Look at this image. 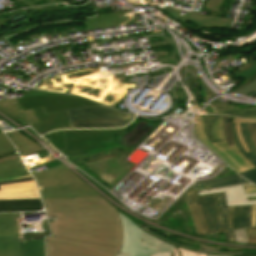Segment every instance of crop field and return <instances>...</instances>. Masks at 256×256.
I'll use <instances>...</instances> for the list:
<instances>
[{
  "mask_svg": "<svg viewBox=\"0 0 256 256\" xmlns=\"http://www.w3.org/2000/svg\"><path fill=\"white\" fill-rule=\"evenodd\" d=\"M42 201L47 215L53 216L48 219L53 237H46L47 256H116L120 253L121 222L116 208L102 196Z\"/></svg>",
  "mask_w": 256,
  "mask_h": 256,
  "instance_id": "crop-field-1",
  "label": "crop field"
},
{
  "mask_svg": "<svg viewBox=\"0 0 256 256\" xmlns=\"http://www.w3.org/2000/svg\"><path fill=\"white\" fill-rule=\"evenodd\" d=\"M128 125L121 129L99 130H60L49 133V142L69 159H77L88 155L118 149L112 137L127 130Z\"/></svg>",
  "mask_w": 256,
  "mask_h": 256,
  "instance_id": "crop-field-2",
  "label": "crop field"
},
{
  "mask_svg": "<svg viewBox=\"0 0 256 256\" xmlns=\"http://www.w3.org/2000/svg\"><path fill=\"white\" fill-rule=\"evenodd\" d=\"M41 225L44 233L22 235L18 213H0V256H45L44 236L50 232L46 219ZM34 237L41 239H26Z\"/></svg>",
  "mask_w": 256,
  "mask_h": 256,
  "instance_id": "crop-field-3",
  "label": "crop field"
},
{
  "mask_svg": "<svg viewBox=\"0 0 256 256\" xmlns=\"http://www.w3.org/2000/svg\"><path fill=\"white\" fill-rule=\"evenodd\" d=\"M46 168L45 171L31 173L36 181L39 179L37 183L39 190L41 189L42 198H75L99 195L59 160L46 164Z\"/></svg>",
  "mask_w": 256,
  "mask_h": 256,
  "instance_id": "crop-field-4",
  "label": "crop field"
},
{
  "mask_svg": "<svg viewBox=\"0 0 256 256\" xmlns=\"http://www.w3.org/2000/svg\"><path fill=\"white\" fill-rule=\"evenodd\" d=\"M70 128L122 127L131 122L133 115L114 110L105 105L65 111Z\"/></svg>",
  "mask_w": 256,
  "mask_h": 256,
  "instance_id": "crop-field-5",
  "label": "crop field"
},
{
  "mask_svg": "<svg viewBox=\"0 0 256 256\" xmlns=\"http://www.w3.org/2000/svg\"><path fill=\"white\" fill-rule=\"evenodd\" d=\"M23 109L43 107L45 113H52L61 110L79 108L84 106L101 105L81 97L64 96H34L19 98Z\"/></svg>",
  "mask_w": 256,
  "mask_h": 256,
  "instance_id": "crop-field-6",
  "label": "crop field"
},
{
  "mask_svg": "<svg viewBox=\"0 0 256 256\" xmlns=\"http://www.w3.org/2000/svg\"><path fill=\"white\" fill-rule=\"evenodd\" d=\"M202 117L198 118L196 122L195 134L208 148L220 156L237 173L254 168L235 146L228 147L226 141L210 144L204 136Z\"/></svg>",
  "mask_w": 256,
  "mask_h": 256,
  "instance_id": "crop-field-7",
  "label": "crop field"
},
{
  "mask_svg": "<svg viewBox=\"0 0 256 256\" xmlns=\"http://www.w3.org/2000/svg\"><path fill=\"white\" fill-rule=\"evenodd\" d=\"M119 213L123 226V244L120 255L117 256H149L155 254L154 249L145 250L140 235V229Z\"/></svg>",
  "mask_w": 256,
  "mask_h": 256,
  "instance_id": "crop-field-8",
  "label": "crop field"
},
{
  "mask_svg": "<svg viewBox=\"0 0 256 256\" xmlns=\"http://www.w3.org/2000/svg\"><path fill=\"white\" fill-rule=\"evenodd\" d=\"M198 197L209 232L226 231L217 193Z\"/></svg>",
  "mask_w": 256,
  "mask_h": 256,
  "instance_id": "crop-field-9",
  "label": "crop field"
},
{
  "mask_svg": "<svg viewBox=\"0 0 256 256\" xmlns=\"http://www.w3.org/2000/svg\"><path fill=\"white\" fill-rule=\"evenodd\" d=\"M179 21L188 27L198 31L200 28L210 30L211 28H229L231 20L228 18L208 17L201 14L190 13L188 17L181 16Z\"/></svg>",
  "mask_w": 256,
  "mask_h": 256,
  "instance_id": "crop-field-10",
  "label": "crop field"
},
{
  "mask_svg": "<svg viewBox=\"0 0 256 256\" xmlns=\"http://www.w3.org/2000/svg\"><path fill=\"white\" fill-rule=\"evenodd\" d=\"M34 110L40 124L31 127L35 129L36 132H38L40 135H43L46 132L54 129L69 128L64 111L45 115L42 108Z\"/></svg>",
  "mask_w": 256,
  "mask_h": 256,
  "instance_id": "crop-field-11",
  "label": "crop field"
},
{
  "mask_svg": "<svg viewBox=\"0 0 256 256\" xmlns=\"http://www.w3.org/2000/svg\"><path fill=\"white\" fill-rule=\"evenodd\" d=\"M35 181L0 186V199L40 198Z\"/></svg>",
  "mask_w": 256,
  "mask_h": 256,
  "instance_id": "crop-field-12",
  "label": "crop field"
},
{
  "mask_svg": "<svg viewBox=\"0 0 256 256\" xmlns=\"http://www.w3.org/2000/svg\"><path fill=\"white\" fill-rule=\"evenodd\" d=\"M0 110L25 126L38 123L33 109L23 110L17 99L0 102Z\"/></svg>",
  "mask_w": 256,
  "mask_h": 256,
  "instance_id": "crop-field-13",
  "label": "crop field"
},
{
  "mask_svg": "<svg viewBox=\"0 0 256 256\" xmlns=\"http://www.w3.org/2000/svg\"><path fill=\"white\" fill-rule=\"evenodd\" d=\"M133 10H126L122 12H109L98 14V17L84 21L85 29H95L113 25L127 24L135 22L134 19L121 18V14L132 12Z\"/></svg>",
  "mask_w": 256,
  "mask_h": 256,
  "instance_id": "crop-field-14",
  "label": "crop field"
},
{
  "mask_svg": "<svg viewBox=\"0 0 256 256\" xmlns=\"http://www.w3.org/2000/svg\"><path fill=\"white\" fill-rule=\"evenodd\" d=\"M241 132H242L244 139L251 151L249 153H247L244 150V148L241 146V144L238 140V137H237L235 123H232V133H233V137H234L237 147L242 152L244 157H246L256 167V161H253V159H256V148L248 136L246 123H241ZM239 174H241L242 176L246 177L247 179H249L250 181H252L256 184V168L239 173Z\"/></svg>",
  "mask_w": 256,
  "mask_h": 256,
  "instance_id": "crop-field-15",
  "label": "crop field"
},
{
  "mask_svg": "<svg viewBox=\"0 0 256 256\" xmlns=\"http://www.w3.org/2000/svg\"><path fill=\"white\" fill-rule=\"evenodd\" d=\"M224 116L206 115L203 118V126L206 139L212 143L216 141L226 140L223 130Z\"/></svg>",
  "mask_w": 256,
  "mask_h": 256,
  "instance_id": "crop-field-16",
  "label": "crop field"
},
{
  "mask_svg": "<svg viewBox=\"0 0 256 256\" xmlns=\"http://www.w3.org/2000/svg\"><path fill=\"white\" fill-rule=\"evenodd\" d=\"M214 192H225L228 206L256 204V201L247 202L246 200V197L256 196V193L245 194L243 186H234V187L214 189L209 191H198V195L214 193Z\"/></svg>",
  "mask_w": 256,
  "mask_h": 256,
  "instance_id": "crop-field-17",
  "label": "crop field"
},
{
  "mask_svg": "<svg viewBox=\"0 0 256 256\" xmlns=\"http://www.w3.org/2000/svg\"><path fill=\"white\" fill-rule=\"evenodd\" d=\"M41 210L44 208L40 199L0 200V212Z\"/></svg>",
  "mask_w": 256,
  "mask_h": 256,
  "instance_id": "crop-field-18",
  "label": "crop field"
},
{
  "mask_svg": "<svg viewBox=\"0 0 256 256\" xmlns=\"http://www.w3.org/2000/svg\"><path fill=\"white\" fill-rule=\"evenodd\" d=\"M185 194H186L189 210L198 234L202 235V234L209 233L200 210L197 191L185 192Z\"/></svg>",
  "mask_w": 256,
  "mask_h": 256,
  "instance_id": "crop-field-19",
  "label": "crop field"
},
{
  "mask_svg": "<svg viewBox=\"0 0 256 256\" xmlns=\"http://www.w3.org/2000/svg\"><path fill=\"white\" fill-rule=\"evenodd\" d=\"M15 147L19 150L21 156L33 154L36 152L43 151L39 145L33 143L17 131L6 133Z\"/></svg>",
  "mask_w": 256,
  "mask_h": 256,
  "instance_id": "crop-field-20",
  "label": "crop field"
},
{
  "mask_svg": "<svg viewBox=\"0 0 256 256\" xmlns=\"http://www.w3.org/2000/svg\"><path fill=\"white\" fill-rule=\"evenodd\" d=\"M21 159L0 163V178L19 176L29 173Z\"/></svg>",
  "mask_w": 256,
  "mask_h": 256,
  "instance_id": "crop-field-21",
  "label": "crop field"
},
{
  "mask_svg": "<svg viewBox=\"0 0 256 256\" xmlns=\"http://www.w3.org/2000/svg\"><path fill=\"white\" fill-rule=\"evenodd\" d=\"M227 231L234 230L235 207H227L224 193H218ZM229 208V210H226Z\"/></svg>",
  "mask_w": 256,
  "mask_h": 256,
  "instance_id": "crop-field-22",
  "label": "crop field"
},
{
  "mask_svg": "<svg viewBox=\"0 0 256 256\" xmlns=\"http://www.w3.org/2000/svg\"><path fill=\"white\" fill-rule=\"evenodd\" d=\"M216 113L256 120V107L243 108V109H237L232 111H216Z\"/></svg>",
  "mask_w": 256,
  "mask_h": 256,
  "instance_id": "crop-field-23",
  "label": "crop field"
},
{
  "mask_svg": "<svg viewBox=\"0 0 256 256\" xmlns=\"http://www.w3.org/2000/svg\"><path fill=\"white\" fill-rule=\"evenodd\" d=\"M145 248L154 247L157 253H165V252H177L175 246H172L162 240L152 241L143 243Z\"/></svg>",
  "mask_w": 256,
  "mask_h": 256,
  "instance_id": "crop-field-24",
  "label": "crop field"
},
{
  "mask_svg": "<svg viewBox=\"0 0 256 256\" xmlns=\"http://www.w3.org/2000/svg\"><path fill=\"white\" fill-rule=\"evenodd\" d=\"M246 206L236 207L235 229L244 227Z\"/></svg>",
  "mask_w": 256,
  "mask_h": 256,
  "instance_id": "crop-field-25",
  "label": "crop field"
},
{
  "mask_svg": "<svg viewBox=\"0 0 256 256\" xmlns=\"http://www.w3.org/2000/svg\"><path fill=\"white\" fill-rule=\"evenodd\" d=\"M235 93L244 94L251 97L256 96V80L249 85L237 90Z\"/></svg>",
  "mask_w": 256,
  "mask_h": 256,
  "instance_id": "crop-field-26",
  "label": "crop field"
},
{
  "mask_svg": "<svg viewBox=\"0 0 256 256\" xmlns=\"http://www.w3.org/2000/svg\"><path fill=\"white\" fill-rule=\"evenodd\" d=\"M10 149H14V146L10 143L4 133L0 130V152H4Z\"/></svg>",
  "mask_w": 256,
  "mask_h": 256,
  "instance_id": "crop-field-27",
  "label": "crop field"
},
{
  "mask_svg": "<svg viewBox=\"0 0 256 256\" xmlns=\"http://www.w3.org/2000/svg\"><path fill=\"white\" fill-rule=\"evenodd\" d=\"M179 253H173V256H207L204 253L193 252L184 248L176 246Z\"/></svg>",
  "mask_w": 256,
  "mask_h": 256,
  "instance_id": "crop-field-28",
  "label": "crop field"
},
{
  "mask_svg": "<svg viewBox=\"0 0 256 256\" xmlns=\"http://www.w3.org/2000/svg\"><path fill=\"white\" fill-rule=\"evenodd\" d=\"M230 118L231 117H225V120H224V129H225L228 146L234 145L232 135H231V130H230V122H229Z\"/></svg>",
  "mask_w": 256,
  "mask_h": 256,
  "instance_id": "crop-field-29",
  "label": "crop field"
},
{
  "mask_svg": "<svg viewBox=\"0 0 256 256\" xmlns=\"http://www.w3.org/2000/svg\"><path fill=\"white\" fill-rule=\"evenodd\" d=\"M245 183H249V182H247L244 179H241V180L229 181V182H224V183L206 185V186H204V188L208 189V188H215V187H222V186H229V185H236V184H245Z\"/></svg>",
  "mask_w": 256,
  "mask_h": 256,
  "instance_id": "crop-field-30",
  "label": "crop field"
},
{
  "mask_svg": "<svg viewBox=\"0 0 256 256\" xmlns=\"http://www.w3.org/2000/svg\"><path fill=\"white\" fill-rule=\"evenodd\" d=\"M224 0H207L205 7L209 10L219 11Z\"/></svg>",
  "mask_w": 256,
  "mask_h": 256,
  "instance_id": "crop-field-31",
  "label": "crop field"
},
{
  "mask_svg": "<svg viewBox=\"0 0 256 256\" xmlns=\"http://www.w3.org/2000/svg\"><path fill=\"white\" fill-rule=\"evenodd\" d=\"M19 154L16 152V150H10L4 153H0V162L19 158Z\"/></svg>",
  "mask_w": 256,
  "mask_h": 256,
  "instance_id": "crop-field-32",
  "label": "crop field"
},
{
  "mask_svg": "<svg viewBox=\"0 0 256 256\" xmlns=\"http://www.w3.org/2000/svg\"><path fill=\"white\" fill-rule=\"evenodd\" d=\"M233 122H236V129H237V133H238V136H239V139L243 145V147L246 149L247 152H249V149L241 135V132H240V122H254V121H249V120H243V119H237V118H234V121Z\"/></svg>",
  "mask_w": 256,
  "mask_h": 256,
  "instance_id": "crop-field-33",
  "label": "crop field"
},
{
  "mask_svg": "<svg viewBox=\"0 0 256 256\" xmlns=\"http://www.w3.org/2000/svg\"><path fill=\"white\" fill-rule=\"evenodd\" d=\"M235 179H241V177L238 176L237 174H234V175L225 176V177H221V178H218V179H214V180L202 182V184H203V185H206V184L218 183V182L229 181V180H235Z\"/></svg>",
  "mask_w": 256,
  "mask_h": 256,
  "instance_id": "crop-field-34",
  "label": "crop field"
},
{
  "mask_svg": "<svg viewBox=\"0 0 256 256\" xmlns=\"http://www.w3.org/2000/svg\"><path fill=\"white\" fill-rule=\"evenodd\" d=\"M248 244H256V227L245 229Z\"/></svg>",
  "mask_w": 256,
  "mask_h": 256,
  "instance_id": "crop-field-35",
  "label": "crop field"
},
{
  "mask_svg": "<svg viewBox=\"0 0 256 256\" xmlns=\"http://www.w3.org/2000/svg\"><path fill=\"white\" fill-rule=\"evenodd\" d=\"M249 135L256 146V123H247Z\"/></svg>",
  "mask_w": 256,
  "mask_h": 256,
  "instance_id": "crop-field-36",
  "label": "crop field"
},
{
  "mask_svg": "<svg viewBox=\"0 0 256 256\" xmlns=\"http://www.w3.org/2000/svg\"><path fill=\"white\" fill-rule=\"evenodd\" d=\"M33 95H65V96H72V95H67V94L48 93V92L33 90L32 92H29L27 95H24V97H26V96H33Z\"/></svg>",
  "mask_w": 256,
  "mask_h": 256,
  "instance_id": "crop-field-37",
  "label": "crop field"
},
{
  "mask_svg": "<svg viewBox=\"0 0 256 256\" xmlns=\"http://www.w3.org/2000/svg\"><path fill=\"white\" fill-rule=\"evenodd\" d=\"M235 233H236L237 242L247 243L244 229L237 230L235 231Z\"/></svg>",
  "mask_w": 256,
  "mask_h": 256,
  "instance_id": "crop-field-38",
  "label": "crop field"
},
{
  "mask_svg": "<svg viewBox=\"0 0 256 256\" xmlns=\"http://www.w3.org/2000/svg\"><path fill=\"white\" fill-rule=\"evenodd\" d=\"M141 234H142V241H152V240H158V238L154 237L153 235L141 230Z\"/></svg>",
  "mask_w": 256,
  "mask_h": 256,
  "instance_id": "crop-field-39",
  "label": "crop field"
},
{
  "mask_svg": "<svg viewBox=\"0 0 256 256\" xmlns=\"http://www.w3.org/2000/svg\"><path fill=\"white\" fill-rule=\"evenodd\" d=\"M245 79L247 80V82H246L244 85H242L241 87H243V86L249 84V83L252 82L254 79H256V70L253 71L251 74H249L247 77H245ZM241 87H239V88H241ZM239 88H238V89H239ZM236 90H237V89H236ZM236 90H234V91H236ZM234 91H232V92H234ZM232 92H231V93H232Z\"/></svg>",
  "mask_w": 256,
  "mask_h": 256,
  "instance_id": "crop-field-40",
  "label": "crop field"
},
{
  "mask_svg": "<svg viewBox=\"0 0 256 256\" xmlns=\"http://www.w3.org/2000/svg\"><path fill=\"white\" fill-rule=\"evenodd\" d=\"M250 215H251V205L247 206L246 219H245V227L250 226Z\"/></svg>",
  "mask_w": 256,
  "mask_h": 256,
  "instance_id": "crop-field-41",
  "label": "crop field"
},
{
  "mask_svg": "<svg viewBox=\"0 0 256 256\" xmlns=\"http://www.w3.org/2000/svg\"><path fill=\"white\" fill-rule=\"evenodd\" d=\"M251 226H256V205H252Z\"/></svg>",
  "mask_w": 256,
  "mask_h": 256,
  "instance_id": "crop-field-42",
  "label": "crop field"
},
{
  "mask_svg": "<svg viewBox=\"0 0 256 256\" xmlns=\"http://www.w3.org/2000/svg\"><path fill=\"white\" fill-rule=\"evenodd\" d=\"M225 235H226L227 241H229V242H236L234 231L225 232Z\"/></svg>",
  "mask_w": 256,
  "mask_h": 256,
  "instance_id": "crop-field-43",
  "label": "crop field"
},
{
  "mask_svg": "<svg viewBox=\"0 0 256 256\" xmlns=\"http://www.w3.org/2000/svg\"><path fill=\"white\" fill-rule=\"evenodd\" d=\"M256 69V65H254L253 67L247 69L246 71H244L242 74L236 76V78H240V77H245L246 75H248L250 72H252L253 70Z\"/></svg>",
  "mask_w": 256,
  "mask_h": 256,
  "instance_id": "crop-field-44",
  "label": "crop field"
},
{
  "mask_svg": "<svg viewBox=\"0 0 256 256\" xmlns=\"http://www.w3.org/2000/svg\"><path fill=\"white\" fill-rule=\"evenodd\" d=\"M20 2L26 4L27 6L37 5V1L39 0H19Z\"/></svg>",
  "mask_w": 256,
  "mask_h": 256,
  "instance_id": "crop-field-45",
  "label": "crop field"
},
{
  "mask_svg": "<svg viewBox=\"0 0 256 256\" xmlns=\"http://www.w3.org/2000/svg\"><path fill=\"white\" fill-rule=\"evenodd\" d=\"M28 180H34V179H33V177H29V178H24V179H19V180L0 182V185L14 183V182H20V181H28Z\"/></svg>",
  "mask_w": 256,
  "mask_h": 256,
  "instance_id": "crop-field-46",
  "label": "crop field"
},
{
  "mask_svg": "<svg viewBox=\"0 0 256 256\" xmlns=\"http://www.w3.org/2000/svg\"><path fill=\"white\" fill-rule=\"evenodd\" d=\"M31 176L30 174L19 176V177H13V178H5V179H0V181H7V180H13V179H19V178H24V177H29Z\"/></svg>",
  "mask_w": 256,
  "mask_h": 256,
  "instance_id": "crop-field-47",
  "label": "crop field"
},
{
  "mask_svg": "<svg viewBox=\"0 0 256 256\" xmlns=\"http://www.w3.org/2000/svg\"><path fill=\"white\" fill-rule=\"evenodd\" d=\"M151 256H172V253H165V254H155Z\"/></svg>",
  "mask_w": 256,
  "mask_h": 256,
  "instance_id": "crop-field-48",
  "label": "crop field"
},
{
  "mask_svg": "<svg viewBox=\"0 0 256 256\" xmlns=\"http://www.w3.org/2000/svg\"><path fill=\"white\" fill-rule=\"evenodd\" d=\"M254 64H256V61H255V62H253L252 64H250L249 66L245 67L244 69H242L241 71H239V72H238V73H236L235 75H237V74H239V73L243 72V71H244V70H246L248 67H250V66H252V65H254Z\"/></svg>",
  "mask_w": 256,
  "mask_h": 256,
  "instance_id": "crop-field-49",
  "label": "crop field"
},
{
  "mask_svg": "<svg viewBox=\"0 0 256 256\" xmlns=\"http://www.w3.org/2000/svg\"><path fill=\"white\" fill-rule=\"evenodd\" d=\"M245 191H246V193H254V192H256V188L246 189Z\"/></svg>",
  "mask_w": 256,
  "mask_h": 256,
  "instance_id": "crop-field-50",
  "label": "crop field"
},
{
  "mask_svg": "<svg viewBox=\"0 0 256 256\" xmlns=\"http://www.w3.org/2000/svg\"><path fill=\"white\" fill-rule=\"evenodd\" d=\"M248 199V201H254V200H256V197H253V198H247Z\"/></svg>",
  "mask_w": 256,
  "mask_h": 256,
  "instance_id": "crop-field-51",
  "label": "crop field"
},
{
  "mask_svg": "<svg viewBox=\"0 0 256 256\" xmlns=\"http://www.w3.org/2000/svg\"><path fill=\"white\" fill-rule=\"evenodd\" d=\"M209 256H221V255H213V254H208Z\"/></svg>",
  "mask_w": 256,
  "mask_h": 256,
  "instance_id": "crop-field-52",
  "label": "crop field"
},
{
  "mask_svg": "<svg viewBox=\"0 0 256 256\" xmlns=\"http://www.w3.org/2000/svg\"><path fill=\"white\" fill-rule=\"evenodd\" d=\"M3 119L0 118V121H2Z\"/></svg>",
  "mask_w": 256,
  "mask_h": 256,
  "instance_id": "crop-field-53",
  "label": "crop field"
}]
</instances>
